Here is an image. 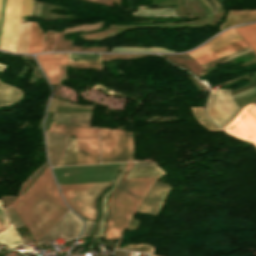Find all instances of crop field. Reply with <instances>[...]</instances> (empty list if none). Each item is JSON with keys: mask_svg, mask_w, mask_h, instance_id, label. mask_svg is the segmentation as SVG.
I'll list each match as a JSON object with an SVG mask.
<instances>
[{"mask_svg": "<svg viewBox=\"0 0 256 256\" xmlns=\"http://www.w3.org/2000/svg\"><path fill=\"white\" fill-rule=\"evenodd\" d=\"M63 203L50 169L47 167L33 185L12 205L33 233Z\"/></svg>", "mask_w": 256, "mask_h": 256, "instance_id": "crop-field-1", "label": "crop field"}, {"mask_svg": "<svg viewBox=\"0 0 256 256\" xmlns=\"http://www.w3.org/2000/svg\"><path fill=\"white\" fill-rule=\"evenodd\" d=\"M132 163L133 162L128 163L117 187L109 198V218L106 225L105 240L119 239L132 214L143 200L151 185L159 178L126 179L122 188L116 195L113 215V197L122 185Z\"/></svg>", "mask_w": 256, "mask_h": 256, "instance_id": "crop-field-2", "label": "crop field"}, {"mask_svg": "<svg viewBox=\"0 0 256 256\" xmlns=\"http://www.w3.org/2000/svg\"><path fill=\"white\" fill-rule=\"evenodd\" d=\"M112 182L59 186L67 204L86 219L96 221L97 201Z\"/></svg>", "mask_w": 256, "mask_h": 256, "instance_id": "crop-field-3", "label": "crop field"}, {"mask_svg": "<svg viewBox=\"0 0 256 256\" xmlns=\"http://www.w3.org/2000/svg\"><path fill=\"white\" fill-rule=\"evenodd\" d=\"M101 163L134 161L130 131L100 128Z\"/></svg>", "mask_w": 256, "mask_h": 256, "instance_id": "crop-field-4", "label": "crop field"}, {"mask_svg": "<svg viewBox=\"0 0 256 256\" xmlns=\"http://www.w3.org/2000/svg\"><path fill=\"white\" fill-rule=\"evenodd\" d=\"M240 108L234 103L230 91H212L207 104V114L220 127L228 123Z\"/></svg>", "mask_w": 256, "mask_h": 256, "instance_id": "crop-field-5", "label": "crop field"}, {"mask_svg": "<svg viewBox=\"0 0 256 256\" xmlns=\"http://www.w3.org/2000/svg\"><path fill=\"white\" fill-rule=\"evenodd\" d=\"M223 130L256 145V106L253 103L244 106L234 120Z\"/></svg>", "mask_w": 256, "mask_h": 256, "instance_id": "crop-field-6", "label": "crop field"}, {"mask_svg": "<svg viewBox=\"0 0 256 256\" xmlns=\"http://www.w3.org/2000/svg\"><path fill=\"white\" fill-rule=\"evenodd\" d=\"M22 0H7L0 48L15 52Z\"/></svg>", "mask_w": 256, "mask_h": 256, "instance_id": "crop-field-7", "label": "crop field"}, {"mask_svg": "<svg viewBox=\"0 0 256 256\" xmlns=\"http://www.w3.org/2000/svg\"><path fill=\"white\" fill-rule=\"evenodd\" d=\"M82 227V222L70 211L54 225L39 241V245L47 244L60 237L70 239L76 237Z\"/></svg>", "mask_w": 256, "mask_h": 256, "instance_id": "crop-field-8", "label": "crop field"}, {"mask_svg": "<svg viewBox=\"0 0 256 256\" xmlns=\"http://www.w3.org/2000/svg\"><path fill=\"white\" fill-rule=\"evenodd\" d=\"M170 189L171 188L167 185L154 183L147 197L145 196V200L137 211L157 216Z\"/></svg>", "mask_w": 256, "mask_h": 256, "instance_id": "crop-field-9", "label": "crop field"}, {"mask_svg": "<svg viewBox=\"0 0 256 256\" xmlns=\"http://www.w3.org/2000/svg\"><path fill=\"white\" fill-rule=\"evenodd\" d=\"M51 84H59L58 66L68 65L69 53L36 55Z\"/></svg>", "mask_w": 256, "mask_h": 256, "instance_id": "crop-field-10", "label": "crop field"}, {"mask_svg": "<svg viewBox=\"0 0 256 256\" xmlns=\"http://www.w3.org/2000/svg\"><path fill=\"white\" fill-rule=\"evenodd\" d=\"M78 164L99 163L98 139H77Z\"/></svg>", "mask_w": 256, "mask_h": 256, "instance_id": "crop-field-11", "label": "crop field"}, {"mask_svg": "<svg viewBox=\"0 0 256 256\" xmlns=\"http://www.w3.org/2000/svg\"><path fill=\"white\" fill-rule=\"evenodd\" d=\"M239 40H241V38L237 35V33L233 29H230L222 33L221 35H219L217 38H215L211 42L193 50L188 55L195 58L197 56H200L202 54L213 51L215 49H218L220 47H223L225 45H228L232 42H236Z\"/></svg>", "mask_w": 256, "mask_h": 256, "instance_id": "crop-field-12", "label": "crop field"}, {"mask_svg": "<svg viewBox=\"0 0 256 256\" xmlns=\"http://www.w3.org/2000/svg\"><path fill=\"white\" fill-rule=\"evenodd\" d=\"M164 173L151 161L135 162L128 178L162 176Z\"/></svg>", "mask_w": 256, "mask_h": 256, "instance_id": "crop-field-13", "label": "crop field"}, {"mask_svg": "<svg viewBox=\"0 0 256 256\" xmlns=\"http://www.w3.org/2000/svg\"><path fill=\"white\" fill-rule=\"evenodd\" d=\"M245 47H247V44L243 40H241L239 42L233 43L231 45H228V46L223 47L221 49L215 50V51L210 52L208 54H205L203 56L197 57V58H195V60L200 65H202L204 63H207L209 61H212L214 59H217V58L222 57L224 55L230 54L232 52H235V51L240 50V49L245 48Z\"/></svg>", "mask_w": 256, "mask_h": 256, "instance_id": "crop-field-14", "label": "crop field"}, {"mask_svg": "<svg viewBox=\"0 0 256 256\" xmlns=\"http://www.w3.org/2000/svg\"><path fill=\"white\" fill-rule=\"evenodd\" d=\"M256 21V10L229 11L227 22L223 23L220 29H225L234 24Z\"/></svg>", "mask_w": 256, "mask_h": 256, "instance_id": "crop-field-15", "label": "crop field"}, {"mask_svg": "<svg viewBox=\"0 0 256 256\" xmlns=\"http://www.w3.org/2000/svg\"><path fill=\"white\" fill-rule=\"evenodd\" d=\"M127 163L124 164L113 188L111 190H109L107 193L104 194L101 202H100V209H101V218L99 219L95 229H94V233L92 237H104V224L106 221V218L108 216V209H107V201H108V197L110 195V193L112 192V190L114 189V187L116 186L121 174L123 173L125 167H126Z\"/></svg>", "mask_w": 256, "mask_h": 256, "instance_id": "crop-field-16", "label": "crop field"}, {"mask_svg": "<svg viewBox=\"0 0 256 256\" xmlns=\"http://www.w3.org/2000/svg\"><path fill=\"white\" fill-rule=\"evenodd\" d=\"M23 96L22 92L0 80V107L14 104Z\"/></svg>", "mask_w": 256, "mask_h": 256, "instance_id": "crop-field-17", "label": "crop field"}, {"mask_svg": "<svg viewBox=\"0 0 256 256\" xmlns=\"http://www.w3.org/2000/svg\"><path fill=\"white\" fill-rule=\"evenodd\" d=\"M46 134L55 135V136H63V137L69 136V135H65V134H58V133H51V132H46ZM49 135H46V138L58 139V140H66V138L49 136ZM46 140H47V142H50V143H57V144L66 145V141H57V140H49V139H46ZM47 147L50 150H56V151H61V152H63L64 149H65V147H63V146L50 145V144H47ZM50 150H48V152L62 154L61 152H55V151H50ZM51 153H48L50 163H51L52 166H56L58 161H59V159H60V157H61V155H59V154H51Z\"/></svg>", "mask_w": 256, "mask_h": 256, "instance_id": "crop-field-18", "label": "crop field"}, {"mask_svg": "<svg viewBox=\"0 0 256 256\" xmlns=\"http://www.w3.org/2000/svg\"><path fill=\"white\" fill-rule=\"evenodd\" d=\"M43 37L44 33L40 30L38 24L32 22L28 53L41 52Z\"/></svg>", "mask_w": 256, "mask_h": 256, "instance_id": "crop-field-19", "label": "crop field"}, {"mask_svg": "<svg viewBox=\"0 0 256 256\" xmlns=\"http://www.w3.org/2000/svg\"><path fill=\"white\" fill-rule=\"evenodd\" d=\"M65 203L47 219L34 233L35 242L67 211Z\"/></svg>", "mask_w": 256, "mask_h": 256, "instance_id": "crop-field-20", "label": "crop field"}, {"mask_svg": "<svg viewBox=\"0 0 256 256\" xmlns=\"http://www.w3.org/2000/svg\"><path fill=\"white\" fill-rule=\"evenodd\" d=\"M238 34L256 52V24L234 27Z\"/></svg>", "mask_w": 256, "mask_h": 256, "instance_id": "crop-field-21", "label": "crop field"}, {"mask_svg": "<svg viewBox=\"0 0 256 256\" xmlns=\"http://www.w3.org/2000/svg\"><path fill=\"white\" fill-rule=\"evenodd\" d=\"M72 164H77L76 139L67 138V148L58 166L72 165Z\"/></svg>", "mask_w": 256, "mask_h": 256, "instance_id": "crop-field-22", "label": "crop field"}, {"mask_svg": "<svg viewBox=\"0 0 256 256\" xmlns=\"http://www.w3.org/2000/svg\"><path fill=\"white\" fill-rule=\"evenodd\" d=\"M0 242L11 248L22 243L20 237L11 226V224H9L8 228L5 231L0 233Z\"/></svg>", "mask_w": 256, "mask_h": 256, "instance_id": "crop-field-23", "label": "crop field"}, {"mask_svg": "<svg viewBox=\"0 0 256 256\" xmlns=\"http://www.w3.org/2000/svg\"><path fill=\"white\" fill-rule=\"evenodd\" d=\"M30 24L31 22L21 24L17 52L27 53L28 51Z\"/></svg>", "mask_w": 256, "mask_h": 256, "instance_id": "crop-field-24", "label": "crop field"}, {"mask_svg": "<svg viewBox=\"0 0 256 256\" xmlns=\"http://www.w3.org/2000/svg\"><path fill=\"white\" fill-rule=\"evenodd\" d=\"M90 117H91L90 113L72 114L71 121H70L69 125L99 129V127H89ZM54 123H57V122H54ZM61 124H65V123H61Z\"/></svg>", "mask_w": 256, "mask_h": 256, "instance_id": "crop-field-25", "label": "crop field"}, {"mask_svg": "<svg viewBox=\"0 0 256 256\" xmlns=\"http://www.w3.org/2000/svg\"><path fill=\"white\" fill-rule=\"evenodd\" d=\"M133 15H147V16H175L174 8L166 9H142L138 10Z\"/></svg>", "mask_w": 256, "mask_h": 256, "instance_id": "crop-field-26", "label": "crop field"}, {"mask_svg": "<svg viewBox=\"0 0 256 256\" xmlns=\"http://www.w3.org/2000/svg\"><path fill=\"white\" fill-rule=\"evenodd\" d=\"M193 111V114L197 118V120L208 130L210 131H217L218 129L206 118L202 107L199 108H191Z\"/></svg>", "mask_w": 256, "mask_h": 256, "instance_id": "crop-field-27", "label": "crop field"}, {"mask_svg": "<svg viewBox=\"0 0 256 256\" xmlns=\"http://www.w3.org/2000/svg\"><path fill=\"white\" fill-rule=\"evenodd\" d=\"M70 60L101 61L100 54H70Z\"/></svg>", "mask_w": 256, "mask_h": 256, "instance_id": "crop-field-28", "label": "crop field"}, {"mask_svg": "<svg viewBox=\"0 0 256 256\" xmlns=\"http://www.w3.org/2000/svg\"><path fill=\"white\" fill-rule=\"evenodd\" d=\"M111 51H157V52H171L161 48H130V47H116Z\"/></svg>", "mask_w": 256, "mask_h": 256, "instance_id": "crop-field-29", "label": "crop field"}, {"mask_svg": "<svg viewBox=\"0 0 256 256\" xmlns=\"http://www.w3.org/2000/svg\"><path fill=\"white\" fill-rule=\"evenodd\" d=\"M248 50H250L249 47H247V48H245V49H242V50H240V51H237V52H235V53H232V54H230V55H227V56H225V57L219 58V59H217V60H214V61H212V62H209V63H207V64H204V65H202V67H203L204 69H206V68H208V67H211V66H213V65H216V64H218V63H220V62H222V61H224V60H227V59H229V58H231V57H234V56H236V55H239V54H241V53H243V52H246V51H248Z\"/></svg>", "mask_w": 256, "mask_h": 256, "instance_id": "crop-field-30", "label": "crop field"}, {"mask_svg": "<svg viewBox=\"0 0 256 256\" xmlns=\"http://www.w3.org/2000/svg\"><path fill=\"white\" fill-rule=\"evenodd\" d=\"M123 249L154 253V247L146 244L129 245V246L123 247Z\"/></svg>", "mask_w": 256, "mask_h": 256, "instance_id": "crop-field-31", "label": "crop field"}, {"mask_svg": "<svg viewBox=\"0 0 256 256\" xmlns=\"http://www.w3.org/2000/svg\"><path fill=\"white\" fill-rule=\"evenodd\" d=\"M51 127L55 128H63V129H69V130H75V131H81V132H87L98 135V130H92V129H86V128H80L75 126H68V125H59V124H53L51 123Z\"/></svg>", "mask_w": 256, "mask_h": 256, "instance_id": "crop-field-32", "label": "crop field"}, {"mask_svg": "<svg viewBox=\"0 0 256 256\" xmlns=\"http://www.w3.org/2000/svg\"><path fill=\"white\" fill-rule=\"evenodd\" d=\"M49 131L67 133V134H71V135H74L76 137H81V138H94V137H98V136L92 135V134L79 133V132L66 131V130H59V129H53V128H50Z\"/></svg>", "mask_w": 256, "mask_h": 256, "instance_id": "crop-field-33", "label": "crop field"}, {"mask_svg": "<svg viewBox=\"0 0 256 256\" xmlns=\"http://www.w3.org/2000/svg\"><path fill=\"white\" fill-rule=\"evenodd\" d=\"M10 207V209L13 211V213L16 215V217L19 219V221L22 223V225H24V223H23V221L21 220V218L18 216V214L16 213V211L14 210V208L12 207V205L11 206H9ZM6 212H7V214H8V216H9V218H10V222L14 225V227L16 228V227H19L20 226V224L17 222V220L15 219V215L13 216V214L10 212V210L8 209V207L6 208ZM12 225V226H13Z\"/></svg>", "mask_w": 256, "mask_h": 256, "instance_id": "crop-field-34", "label": "crop field"}, {"mask_svg": "<svg viewBox=\"0 0 256 256\" xmlns=\"http://www.w3.org/2000/svg\"><path fill=\"white\" fill-rule=\"evenodd\" d=\"M200 1L211 11L212 14H214L218 8V2L216 0H200Z\"/></svg>", "mask_w": 256, "mask_h": 256, "instance_id": "crop-field-35", "label": "crop field"}, {"mask_svg": "<svg viewBox=\"0 0 256 256\" xmlns=\"http://www.w3.org/2000/svg\"><path fill=\"white\" fill-rule=\"evenodd\" d=\"M31 6H32V0H24V1H23V8H22L21 20H22L26 15H30Z\"/></svg>", "mask_w": 256, "mask_h": 256, "instance_id": "crop-field-36", "label": "crop field"}, {"mask_svg": "<svg viewBox=\"0 0 256 256\" xmlns=\"http://www.w3.org/2000/svg\"><path fill=\"white\" fill-rule=\"evenodd\" d=\"M57 106H66V107H72V108H91V106L88 105H77L73 104L64 100L57 99Z\"/></svg>", "mask_w": 256, "mask_h": 256, "instance_id": "crop-field-37", "label": "crop field"}, {"mask_svg": "<svg viewBox=\"0 0 256 256\" xmlns=\"http://www.w3.org/2000/svg\"><path fill=\"white\" fill-rule=\"evenodd\" d=\"M70 116L71 114H55L54 113L52 120L69 123Z\"/></svg>", "mask_w": 256, "mask_h": 256, "instance_id": "crop-field-38", "label": "crop field"}, {"mask_svg": "<svg viewBox=\"0 0 256 256\" xmlns=\"http://www.w3.org/2000/svg\"><path fill=\"white\" fill-rule=\"evenodd\" d=\"M87 221V220H86ZM94 222L87 221L85 231L82 233L80 238L89 237L94 226Z\"/></svg>", "mask_w": 256, "mask_h": 256, "instance_id": "crop-field-39", "label": "crop field"}, {"mask_svg": "<svg viewBox=\"0 0 256 256\" xmlns=\"http://www.w3.org/2000/svg\"><path fill=\"white\" fill-rule=\"evenodd\" d=\"M5 5H6V0H2L1 1V8H0V38H1V32H2Z\"/></svg>", "mask_w": 256, "mask_h": 256, "instance_id": "crop-field-40", "label": "crop field"}, {"mask_svg": "<svg viewBox=\"0 0 256 256\" xmlns=\"http://www.w3.org/2000/svg\"><path fill=\"white\" fill-rule=\"evenodd\" d=\"M0 220H1L4 228H6L8 219H7L6 215H5L4 208H3L2 204H1V202H0Z\"/></svg>", "mask_w": 256, "mask_h": 256, "instance_id": "crop-field-41", "label": "crop field"}, {"mask_svg": "<svg viewBox=\"0 0 256 256\" xmlns=\"http://www.w3.org/2000/svg\"><path fill=\"white\" fill-rule=\"evenodd\" d=\"M16 231L18 232L19 235L30 234V232L28 231V229L25 225L20 228H16Z\"/></svg>", "mask_w": 256, "mask_h": 256, "instance_id": "crop-field-42", "label": "crop field"}, {"mask_svg": "<svg viewBox=\"0 0 256 256\" xmlns=\"http://www.w3.org/2000/svg\"><path fill=\"white\" fill-rule=\"evenodd\" d=\"M49 112H56V99L52 98L48 108Z\"/></svg>", "mask_w": 256, "mask_h": 256, "instance_id": "crop-field-43", "label": "crop field"}, {"mask_svg": "<svg viewBox=\"0 0 256 256\" xmlns=\"http://www.w3.org/2000/svg\"><path fill=\"white\" fill-rule=\"evenodd\" d=\"M1 198L3 200L4 205L6 206V205L11 203V201L13 200L14 197H12V196H3Z\"/></svg>", "mask_w": 256, "mask_h": 256, "instance_id": "crop-field-44", "label": "crop field"}, {"mask_svg": "<svg viewBox=\"0 0 256 256\" xmlns=\"http://www.w3.org/2000/svg\"><path fill=\"white\" fill-rule=\"evenodd\" d=\"M5 65L0 64V71L3 72Z\"/></svg>", "mask_w": 256, "mask_h": 256, "instance_id": "crop-field-45", "label": "crop field"}, {"mask_svg": "<svg viewBox=\"0 0 256 256\" xmlns=\"http://www.w3.org/2000/svg\"><path fill=\"white\" fill-rule=\"evenodd\" d=\"M4 228H3V226L0 224V230H3Z\"/></svg>", "mask_w": 256, "mask_h": 256, "instance_id": "crop-field-46", "label": "crop field"}, {"mask_svg": "<svg viewBox=\"0 0 256 256\" xmlns=\"http://www.w3.org/2000/svg\"><path fill=\"white\" fill-rule=\"evenodd\" d=\"M145 7H147V6H141V7H139V8H145Z\"/></svg>", "mask_w": 256, "mask_h": 256, "instance_id": "crop-field-47", "label": "crop field"}, {"mask_svg": "<svg viewBox=\"0 0 256 256\" xmlns=\"http://www.w3.org/2000/svg\"><path fill=\"white\" fill-rule=\"evenodd\" d=\"M150 256H158V255H153V254H151Z\"/></svg>", "mask_w": 256, "mask_h": 256, "instance_id": "crop-field-48", "label": "crop field"}, {"mask_svg": "<svg viewBox=\"0 0 256 256\" xmlns=\"http://www.w3.org/2000/svg\"><path fill=\"white\" fill-rule=\"evenodd\" d=\"M254 104L256 105V102H254Z\"/></svg>", "mask_w": 256, "mask_h": 256, "instance_id": "crop-field-49", "label": "crop field"}]
</instances>
